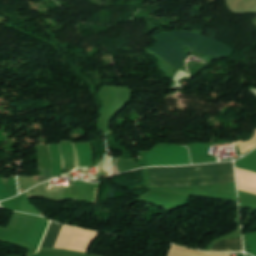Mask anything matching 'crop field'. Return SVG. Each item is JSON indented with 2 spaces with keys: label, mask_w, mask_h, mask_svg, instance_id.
I'll use <instances>...</instances> for the list:
<instances>
[{
  "label": "crop field",
  "mask_w": 256,
  "mask_h": 256,
  "mask_svg": "<svg viewBox=\"0 0 256 256\" xmlns=\"http://www.w3.org/2000/svg\"><path fill=\"white\" fill-rule=\"evenodd\" d=\"M62 227V225L52 222L40 248H53Z\"/></svg>",
  "instance_id": "f4fd0767"
},
{
  "label": "crop field",
  "mask_w": 256,
  "mask_h": 256,
  "mask_svg": "<svg viewBox=\"0 0 256 256\" xmlns=\"http://www.w3.org/2000/svg\"><path fill=\"white\" fill-rule=\"evenodd\" d=\"M154 187L191 186L235 182L232 162L148 168ZM151 186V187H152Z\"/></svg>",
  "instance_id": "8a807250"
},
{
  "label": "crop field",
  "mask_w": 256,
  "mask_h": 256,
  "mask_svg": "<svg viewBox=\"0 0 256 256\" xmlns=\"http://www.w3.org/2000/svg\"><path fill=\"white\" fill-rule=\"evenodd\" d=\"M210 251H243L241 238L222 240L216 243Z\"/></svg>",
  "instance_id": "412701ff"
},
{
  "label": "crop field",
  "mask_w": 256,
  "mask_h": 256,
  "mask_svg": "<svg viewBox=\"0 0 256 256\" xmlns=\"http://www.w3.org/2000/svg\"><path fill=\"white\" fill-rule=\"evenodd\" d=\"M169 34L192 49L196 44V42L198 41V39L200 38V36L198 35H192V34H186V33H180V32H169Z\"/></svg>",
  "instance_id": "dd49c442"
},
{
  "label": "crop field",
  "mask_w": 256,
  "mask_h": 256,
  "mask_svg": "<svg viewBox=\"0 0 256 256\" xmlns=\"http://www.w3.org/2000/svg\"><path fill=\"white\" fill-rule=\"evenodd\" d=\"M152 37L156 41L152 47H149L152 51L176 67L183 63L187 55L182 53L181 50L186 46L175 41L166 32H160Z\"/></svg>",
  "instance_id": "ac0d7876"
},
{
  "label": "crop field",
  "mask_w": 256,
  "mask_h": 256,
  "mask_svg": "<svg viewBox=\"0 0 256 256\" xmlns=\"http://www.w3.org/2000/svg\"><path fill=\"white\" fill-rule=\"evenodd\" d=\"M42 176L50 178L51 177V170H43Z\"/></svg>",
  "instance_id": "e52e79f7"
},
{
  "label": "crop field",
  "mask_w": 256,
  "mask_h": 256,
  "mask_svg": "<svg viewBox=\"0 0 256 256\" xmlns=\"http://www.w3.org/2000/svg\"><path fill=\"white\" fill-rule=\"evenodd\" d=\"M218 41V40H217ZM213 38L202 36L194 51L205 53L219 58L231 57L233 50L217 42Z\"/></svg>",
  "instance_id": "34b2d1b8"
}]
</instances>
